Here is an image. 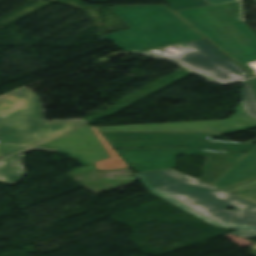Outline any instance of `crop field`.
<instances>
[{"label": "crop field", "instance_id": "8a807250", "mask_svg": "<svg viewBox=\"0 0 256 256\" xmlns=\"http://www.w3.org/2000/svg\"><path fill=\"white\" fill-rule=\"evenodd\" d=\"M152 193L171 197L215 226L256 231V204L173 169L135 174ZM234 208L228 211L225 209Z\"/></svg>", "mask_w": 256, "mask_h": 256}, {"label": "crop field", "instance_id": "ac0d7876", "mask_svg": "<svg viewBox=\"0 0 256 256\" xmlns=\"http://www.w3.org/2000/svg\"><path fill=\"white\" fill-rule=\"evenodd\" d=\"M111 9L131 29L104 37L123 50H147L204 38L166 6H118Z\"/></svg>", "mask_w": 256, "mask_h": 256}, {"label": "crop field", "instance_id": "34b2d1b8", "mask_svg": "<svg viewBox=\"0 0 256 256\" xmlns=\"http://www.w3.org/2000/svg\"><path fill=\"white\" fill-rule=\"evenodd\" d=\"M176 13L250 74L256 75V34L241 21L238 1Z\"/></svg>", "mask_w": 256, "mask_h": 256}, {"label": "crop field", "instance_id": "412701ff", "mask_svg": "<svg viewBox=\"0 0 256 256\" xmlns=\"http://www.w3.org/2000/svg\"><path fill=\"white\" fill-rule=\"evenodd\" d=\"M83 120L44 121L40 99L27 88L0 97V142L33 146L69 132Z\"/></svg>", "mask_w": 256, "mask_h": 256}, {"label": "crop field", "instance_id": "f4fd0767", "mask_svg": "<svg viewBox=\"0 0 256 256\" xmlns=\"http://www.w3.org/2000/svg\"><path fill=\"white\" fill-rule=\"evenodd\" d=\"M125 163L139 172L158 170L175 167L174 157L177 154H194L208 157L203 171L204 175L200 180L211 184L227 169H229L244 154L195 150L187 148H164V149H132V150H115ZM218 171L219 173L209 170ZM214 183V182H213ZM212 183V184H213Z\"/></svg>", "mask_w": 256, "mask_h": 256}, {"label": "crop field", "instance_id": "dd49c442", "mask_svg": "<svg viewBox=\"0 0 256 256\" xmlns=\"http://www.w3.org/2000/svg\"><path fill=\"white\" fill-rule=\"evenodd\" d=\"M111 148L186 146L246 152L253 144L207 139L220 133L100 132Z\"/></svg>", "mask_w": 256, "mask_h": 256}, {"label": "crop field", "instance_id": "e52e79f7", "mask_svg": "<svg viewBox=\"0 0 256 256\" xmlns=\"http://www.w3.org/2000/svg\"><path fill=\"white\" fill-rule=\"evenodd\" d=\"M180 45L190 51L174 57H166L147 51L139 53L173 60L220 84L236 83L251 77L206 39L181 43Z\"/></svg>", "mask_w": 256, "mask_h": 256}, {"label": "crop field", "instance_id": "d8731c3e", "mask_svg": "<svg viewBox=\"0 0 256 256\" xmlns=\"http://www.w3.org/2000/svg\"><path fill=\"white\" fill-rule=\"evenodd\" d=\"M235 115L222 120L95 127L98 131L220 132L223 135L256 128V120L245 114L241 102Z\"/></svg>", "mask_w": 256, "mask_h": 256}, {"label": "crop field", "instance_id": "5a996713", "mask_svg": "<svg viewBox=\"0 0 256 256\" xmlns=\"http://www.w3.org/2000/svg\"><path fill=\"white\" fill-rule=\"evenodd\" d=\"M30 3L1 17L0 23L7 26L55 1L66 4L68 6L82 10L86 16L92 21L94 26L98 27L96 31L90 33L84 38L95 34L101 35L106 32H115L129 28V26L118 17L110 8H104V6H85L79 0H28ZM27 1V2H28ZM102 8L103 16V26L100 27V12L99 9Z\"/></svg>", "mask_w": 256, "mask_h": 256}, {"label": "crop field", "instance_id": "3316defc", "mask_svg": "<svg viewBox=\"0 0 256 256\" xmlns=\"http://www.w3.org/2000/svg\"><path fill=\"white\" fill-rule=\"evenodd\" d=\"M253 177H256V146L211 185L223 189Z\"/></svg>", "mask_w": 256, "mask_h": 256}, {"label": "crop field", "instance_id": "28ad6ade", "mask_svg": "<svg viewBox=\"0 0 256 256\" xmlns=\"http://www.w3.org/2000/svg\"><path fill=\"white\" fill-rule=\"evenodd\" d=\"M39 146L61 148V149L104 148V146L102 145V143L100 142V140L98 139V137L96 136L92 128L89 126H83L80 129L70 134H67L63 137H60L58 139H55L53 141L47 142Z\"/></svg>", "mask_w": 256, "mask_h": 256}, {"label": "crop field", "instance_id": "d1516ede", "mask_svg": "<svg viewBox=\"0 0 256 256\" xmlns=\"http://www.w3.org/2000/svg\"><path fill=\"white\" fill-rule=\"evenodd\" d=\"M31 150L46 151V152L56 151L54 149L34 147L28 151H24L22 153L16 154L14 156H11L9 158H6L0 161V181L1 182L13 186L24 177L25 170L21 168L23 154Z\"/></svg>", "mask_w": 256, "mask_h": 256}, {"label": "crop field", "instance_id": "22f410ed", "mask_svg": "<svg viewBox=\"0 0 256 256\" xmlns=\"http://www.w3.org/2000/svg\"><path fill=\"white\" fill-rule=\"evenodd\" d=\"M56 153H62V154L71 156L77 159L83 165H89L93 162L103 160L110 156L105 149H98V150H60L59 149Z\"/></svg>", "mask_w": 256, "mask_h": 256}, {"label": "crop field", "instance_id": "cbeb9de0", "mask_svg": "<svg viewBox=\"0 0 256 256\" xmlns=\"http://www.w3.org/2000/svg\"><path fill=\"white\" fill-rule=\"evenodd\" d=\"M223 190L256 203V178L228 187Z\"/></svg>", "mask_w": 256, "mask_h": 256}, {"label": "crop field", "instance_id": "5142ce71", "mask_svg": "<svg viewBox=\"0 0 256 256\" xmlns=\"http://www.w3.org/2000/svg\"><path fill=\"white\" fill-rule=\"evenodd\" d=\"M244 88L240 90L242 103L246 114L256 119V94L250 81H244Z\"/></svg>", "mask_w": 256, "mask_h": 256}, {"label": "crop field", "instance_id": "d9b57169", "mask_svg": "<svg viewBox=\"0 0 256 256\" xmlns=\"http://www.w3.org/2000/svg\"><path fill=\"white\" fill-rule=\"evenodd\" d=\"M93 130L95 131V133L97 134V136L99 137V139L101 140V142L103 143V145L105 146L106 150L108 151V153L111 155L110 158L100 161V162H96V166L98 168V170H104V169H113V168H123L126 167L124 165V163L119 159V157L114 153V151L109 147V145L106 143V141L103 139V137L100 135V133L93 128Z\"/></svg>", "mask_w": 256, "mask_h": 256}, {"label": "crop field", "instance_id": "733c2abd", "mask_svg": "<svg viewBox=\"0 0 256 256\" xmlns=\"http://www.w3.org/2000/svg\"><path fill=\"white\" fill-rule=\"evenodd\" d=\"M169 3V7L173 11L207 6L209 5L208 1L206 0H167Z\"/></svg>", "mask_w": 256, "mask_h": 256}, {"label": "crop field", "instance_id": "4a817a6b", "mask_svg": "<svg viewBox=\"0 0 256 256\" xmlns=\"http://www.w3.org/2000/svg\"><path fill=\"white\" fill-rule=\"evenodd\" d=\"M25 148L27 147L0 144V157L11 155Z\"/></svg>", "mask_w": 256, "mask_h": 256}, {"label": "crop field", "instance_id": "bc2a9ffb", "mask_svg": "<svg viewBox=\"0 0 256 256\" xmlns=\"http://www.w3.org/2000/svg\"><path fill=\"white\" fill-rule=\"evenodd\" d=\"M231 234L249 239V238H253L256 236V232H251V231H243V230H237Z\"/></svg>", "mask_w": 256, "mask_h": 256}, {"label": "crop field", "instance_id": "214f88e0", "mask_svg": "<svg viewBox=\"0 0 256 256\" xmlns=\"http://www.w3.org/2000/svg\"><path fill=\"white\" fill-rule=\"evenodd\" d=\"M166 200L171 202V203H173V204H175V205H177V206H179V207H181V208H183L186 211H189V209H190L189 207H187V206H185V205H183V204H181V203H179V202H177V201H175V200H173L171 198H168Z\"/></svg>", "mask_w": 256, "mask_h": 256}, {"label": "crop field", "instance_id": "92a150f3", "mask_svg": "<svg viewBox=\"0 0 256 256\" xmlns=\"http://www.w3.org/2000/svg\"><path fill=\"white\" fill-rule=\"evenodd\" d=\"M230 1H236V0H211V3L212 5H214V4H220V3L230 2Z\"/></svg>", "mask_w": 256, "mask_h": 256}, {"label": "crop field", "instance_id": "dafd665d", "mask_svg": "<svg viewBox=\"0 0 256 256\" xmlns=\"http://www.w3.org/2000/svg\"><path fill=\"white\" fill-rule=\"evenodd\" d=\"M252 81H253L254 87H255V89H256V78H255V79H252Z\"/></svg>", "mask_w": 256, "mask_h": 256}]
</instances>
